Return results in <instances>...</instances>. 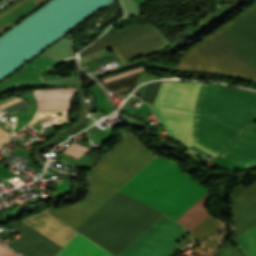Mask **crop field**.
Here are the masks:
<instances>
[{"mask_svg": "<svg viewBox=\"0 0 256 256\" xmlns=\"http://www.w3.org/2000/svg\"><path fill=\"white\" fill-rule=\"evenodd\" d=\"M152 156L126 135L85 176L89 192L84 200L48 211L116 256L163 214L171 218L206 190L162 158L153 157L135 174ZM208 199L205 191L171 218L187 228L193 241L218 231L205 208ZM168 217L163 215L117 256H168L191 241L188 234L177 243L188 232Z\"/></svg>", "mask_w": 256, "mask_h": 256, "instance_id": "crop-field-1", "label": "crop field"}, {"mask_svg": "<svg viewBox=\"0 0 256 256\" xmlns=\"http://www.w3.org/2000/svg\"><path fill=\"white\" fill-rule=\"evenodd\" d=\"M175 68L256 81V4L189 49Z\"/></svg>", "mask_w": 256, "mask_h": 256, "instance_id": "crop-field-2", "label": "crop field"}, {"mask_svg": "<svg viewBox=\"0 0 256 256\" xmlns=\"http://www.w3.org/2000/svg\"><path fill=\"white\" fill-rule=\"evenodd\" d=\"M202 83L162 82L154 104L194 110ZM194 111L243 131L256 120V94L203 84Z\"/></svg>", "mask_w": 256, "mask_h": 256, "instance_id": "crop-field-3", "label": "crop field"}, {"mask_svg": "<svg viewBox=\"0 0 256 256\" xmlns=\"http://www.w3.org/2000/svg\"><path fill=\"white\" fill-rule=\"evenodd\" d=\"M22 222L62 247L78 232L46 210L27 217ZM24 223L16 228L25 236L7 244L8 247L25 256H55L62 249ZM56 256L112 255L78 232Z\"/></svg>", "mask_w": 256, "mask_h": 256, "instance_id": "crop-field-4", "label": "crop field"}, {"mask_svg": "<svg viewBox=\"0 0 256 256\" xmlns=\"http://www.w3.org/2000/svg\"><path fill=\"white\" fill-rule=\"evenodd\" d=\"M153 107L157 117L175 139L189 147L193 145L214 157L240 134V132L200 113L196 114L195 112L169 107ZM187 136L218 154L188 139Z\"/></svg>", "mask_w": 256, "mask_h": 256, "instance_id": "crop-field-5", "label": "crop field"}, {"mask_svg": "<svg viewBox=\"0 0 256 256\" xmlns=\"http://www.w3.org/2000/svg\"><path fill=\"white\" fill-rule=\"evenodd\" d=\"M125 29L113 36L107 31L96 42L79 52V56L82 57L100 49L105 51L112 48L120 59L124 61L156 49L168 42L155 27L149 25L128 27ZM102 50L80 58V62L82 63L104 55Z\"/></svg>", "mask_w": 256, "mask_h": 256, "instance_id": "crop-field-6", "label": "crop field"}, {"mask_svg": "<svg viewBox=\"0 0 256 256\" xmlns=\"http://www.w3.org/2000/svg\"><path fill=\"white\" fill-rule=\"evenodd\" d=\"M235 235L232 240L256 225V182L231 199ZM247 256H256V226L234 241ZM212 256H242L227 244Z\"/></svg>", "mask_w": 256, "mask_h": 256, "instance_id": "crop-field-7", "label": "crop field"}, {"mask_svg": "<svg viewBox=\"0 0 256 256\" xmlns=\"http://www.w3.org/2000/svg\"><path fill=\"white\" fill-rule=\"evenodd\" d=\"M220 157L242 167L256 166V124L243 132Z\"/></svg>", "mask_w": 256, "mask_h": 256, "instance_id": "crop-field-8", "label": "crop field"}, {"mask_svg": "<svg viewBox=\"0 0 256 256\" xmlns=\"http://www.w3.org/2000/svg\"><path fill=\"white\" fill-rule=\"evenodd\" d=\"M13 98H16V97H11V98H9V99H6V100L0 102V104L6 102V101H8V100H11V99H13ZM20 100H22V99L16 98V99H14V100L8 101V102H6V103L0 105V108L3 109V108H5V107H7V106H9V105H11V104H14V103L20 101ZM26 108H28V104L26 103V101L22 100V101H20V102L14 104V105H11V106H9V107L3 109V110L6 111V112H8V113H10V114H12V115H14V114L20 112L21 110L26 109ZM12 115H11V116H12ZM8 134H9V133H7L6 131H4L3 129L0 128V141H2Z\"/></svg>", "mask_w": 256, "mask_h": 256, "instance_id": "crop-field-9", "label": "crop field"}, {"mask_svg": "<svg viewBox=\"0 0 256 256\" xmlns=\"http://www.w3.org/2000/svg\"><path fill=\"white\" fill-rule=\"evenodd\" d=\"M220 244H221L220 240L217 237H215L210 242H208L205 246H208L214 249Z\"/></svg>", "mask_w": 256, "mask_h": 256, "instance_id": "crop-field-10", "label": "crop field"}, {"mask_svg": "<svg viewBox=\"0 0 256 256\" xmlns=\"http://www.w3.org/2000/svg\"><path fill=\"white\" fill-rule=\"evenodd\" d=\"M0 256H18L7 249H5L1 244H0Z\"/></svg>", "mask_w": 256, "mask_h": 256, "instance_id": "crop-field-11", "label": "crop field"}]
</instances>
